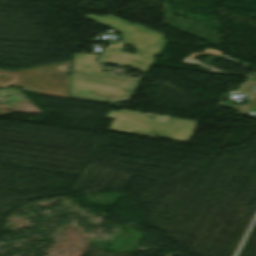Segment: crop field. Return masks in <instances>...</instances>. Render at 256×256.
<instances>
[{
  "label": "crop field",
  "mask_w": 256,
  "mask_h": 256,
  "mask_svg": "<svg viewBox=\"0 0 256 256\" xmlns=\"http://www.w3.org/2000/svg\"><path fill=\"white\" fill-rule=\"evenodd\" d=\"M249 113H253L252 115L256 116V104L254 105V107L250 110Z\"/></svg>",
  "instance_id": "obj_4"
},
{
  "label": "crop field",
  "mask_w": 256,
  "mask_h": 256,
  "mask_svg": "<svg viewBox=\"0 0 256 256\" xmlns=\"http://www.w3.org/2000/svg\"><path fill=\"white\" fill-rule=\"evenodd\" d=\"M137 82L71 73L70 94L120 102L127 101Z\"/></svg>",
  "instance_id": "obj_2"
},
{
  "label": "crop field",
  "mask_w": 256,
  "mask_h": 256,
  "mask_svg": "<svg viewBox=\"0 0 256 256\" xmlns=\"http://www.w3.org/2000/svg\"><path fill=\"white\" fill-rule=\"evenodd\" d=\"M239 92H242L248 96H251L249 100L246 102V104L244 105V107L227 103V102H222L220 106L233 109V110H238L240 113L246 114L247 111L251 108V106L256 101V81H249L239 90Z\"/></svg>",
  "instance_id": "obj_3"
},
{
  "label": "crop field",
  "mask_w": 256,
  "mask_h": 256,
  "mask_svg": "<svg viewBox=\"0 0 256 256\" xmlns=\"http://www.w3.org/2000/svg\"><path fill=\"white\" fill-rule=\"evenodd\" d=\"M71 61L28 68L16 72L0 70V87L5 88L8 85H18L29 87L38 94L79 99L93 102L106 103L84 98L68 96V85L70 71L65 70ZM110 104V103H107Z\"/></svg>",
  "instance_id": "obj_1"
}]
</instances>
